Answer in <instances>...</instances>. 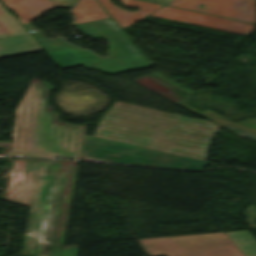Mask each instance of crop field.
<instances>
[{
	"mask_svg": "<svg viewBox=\"0 0 256 256\" xmlns=\"http://www.w3.org/2000/svg\"><path fill=\"white\" fill-rule=\"evenodd\" d=\"M10 159L5 200L31 207L22 254L61 256L67 200L79 162ZM53 165L51 172L49 166ZM65 170V179L57 177Z\"/></svg>",
	"mask_w": 256,
	"mask_h": 256,
	"instance_id": "crop-field-1",
	"label": "crop field"
},
{
	"mask_svg": "<svg viewBox=\"0 0 256 256\" xmlns=\"http://www.w3.org/2000/svg\"><path fill=\"white\" fill-rule=\"evenodd\" d=\"M50 89L30 83L16 112L14 141L7 155L80 159L85 126L59 121L47 106Z\"/></svg>",
	"mask_w": 256,
	"mask_h": 256,
	"instance_id": "crop-field-2",
	"label": "crop field"
},
{
	"mask_svg": "<svg viewBox=\"0 0 256 256\" xmlns=\"http://www.w3.org/2000/svg\"><path fill=\"white\" fill-rule=\"evenodd\" d=\"M76 27L87 36L107 40L108 57L100 58L94 52L66 43L60 37L49 53L61 68L83 64L114 74L151 66L111 19Z\"/></svg>",
	"mask_w": 256,
	"mask_h": 256,
	"instance_id": "crop-field-3",
	"label": "crop field"
},
{
	"mask_svg": "<svg viewBox=\"0 0 256 256\" xmlns=\"http://www.w3.org/2000/svg\"><path fill=\"white\" fill-rule=\"evenodd\" d=\"M81 155L100 160L183 169H200L207 161L85 135Z\"/></svg>",
	"mask_w": 256,
	"mask_h": 256,
	"instance_id": "crop-field-4",
	"label": "crop field"
},
{
	"mask_svg": "<svg viewBox=\"0 0 256 256\" xmlns=\"http://www.w3.org/2000/svg\"><path fill=\"white\" fill-rule=\"evenodd\" d=\"M148 256H243L224 233L137 240Z\"/></svg>",
	"mask_w": 256,
	"mask_h": 256,
	"instance_id": "crop-field-5",
	"label": "crop field"
},
{
	"mask_svg": "<svg viewBox=\"0 0 256 256\" xmlns=\"http://www.w3.org/2000/svg\"><path fill=\"white\" fill-rule=\"evenodd\" d=\"M149 1V0H146ZM162 4L256 24V0H152ZM239 1V2H236ZM243 1H246L243 3ZM203 4V7H198ZM246 7L245 9L242 7ZM196 7L200 8L199 10ZM244 12H247L246 14Z\"/></svg>",
	"mask_w": 256,
	"mask_h": 256,
	"instance_id": "crop-field-6",
	"label": "crop field"
},
{
	"mask_svg": "<svg viewBox=\"0 0 256 256\" xmlns=\"http://www.w3.org/2000/svg\"><path fill=\"white\" fill-rule=\"evenodd\" d=\"M166 9V11H164ZM160 17L180 20L184 22L194 23L198 25L208 26L230 32L247 35L253 32L256 25L244 23L240 21L215 17L211 15L181 10L177 8L164 6L157 11L151 13Z\"/></svg>",
	"mask_w": 256,
	"mask_h": 256,
	"instance_id": "crop-field-7",
	"label": "crop field"
},
{
	"mask_svg": "<svg viewBox=\"0 0 256 256\" xmlns=\"http://www.w3.org/2000/svg\"><path fill=\"white\" fill-rule=\"evenodd\" d=\"M5 5L13 9L19 15V20L28 30L35 29L29 21L38 18L43 12L51 8L66 7L69 8L75 0H2Z\"/></svg>",
	"mask_w": 256,
	"mask_h": 256,
	"instance_id": "crop-field-8",
	"label": "crop field"
},
{
	"mask_svg": "<svg viewBox=\"0 0 256 256\" xmlns=\"http://www.w3.org/2000/svg\"><path fill=\"white\" fill-rule=\"evenodd\" d=\"M102 6L109 12V14L115 19L118 25L122 28L132 24L133 22L141 19L156 9L162 7V5L148 3L139 0H121L125 6L139 7L140 10L136 12H128L114 7L108 0H98Z\"/></svg>",
	"mask_w": 256,
	"mask_h": 256,
	"instance_id": "crop-field-9",
	"label": "crop field"
},
{
	"mask_svg": "<svg viewBox=\"0 0 256 256\" xmlns=\"http://www.w3.org/2000/svg\"><path fill=\"white\" fill-rule=\"evenodd\" d=\"M30 34L0 39V57L40 51Z\"/></svg>",
	"mask_w": 256,
	"mask_h": 256,
	"instance_id": "crop-field-10",
	"label": "crop field"
},
{
	"mask_svg": "<svg viewBox=\"0 0 256 256\" xmlns=\"http://www.w3.org/2000/svg\"><path fill=\"white\" fill-rule=\"evenodd\" d=\"M73 12L76 15L75 24L109 17L96 0H79Z\"/></svg>",
	"mask_w": 256,
	"mask_h": 256,
	"instance_id": "crop-field-11",
	"label": "crop field"
},
{
	"mask_svg": "<svg viewBox=\"0 0 256 256\" xmlns=\"http://www.w3.org/2000/svg\"><path fill=\"white\" fill-rule=\"evenodd\" d=\"M28 33L0 3V38Z\"/></svg>",
	"mask_w": 256,
	"mask_h": 256,
	"instance_id": "crop-field-12",
	"label": "crop field"
},
{
	"mask_svg": "<svg viewBox=\"0 0 256 256\" xmlns=\"http://www.w3.org/2000/svg\"><path fill=\"white\" fill-rule=\"evenodd\" d=\"M244 256H256V240L248 231L225 233Z\"/></svg>",
	"mask_w": 256,
	"mask_h": 256,
	"instance_id": "crop-field-13",
	"label": "crop field"
},
{
	"mask_svg": "<svg viewBox=\"0 0 256 256\" xmlns=\"http://www.w3.org/2000/svg\"><path fill=\"white\" fill-rule=\"evenodd\" d=\"M185 108L209 119L210 121H213L215 124L219 125V126H222V125H225V124H231V125H235V126H238V127H241L243 129H246V130H249L251 132H254L256 133V118H252V119H248V120H244V121H241V122H237V123H234V122H231L230 120H228L227 118L211 111V110H206L202 113L194 110V109H191L187 106H184Z\"/></svg>",
	"mask_w": 256,
	"mask_h": 256,
	"instance_id": "crop-field-14",
	"label": "crop field"
},
{
	"mask_svg": "<svg viewBox=\"0 0 256 256\" xmlns=\"http://www.w3.org/2000/svg\"><path fill=\"white\" fill-rule=\"evenodd\" d=\"M35 39L42 45V47L44 49L47 50V52H49V50L51 49V47L53 46V44L55 43V41L57 40L56 39H50V40H47L43 34L41 32H38V33H33L32 34Z\"/></svg>",
	"mask_w": 256,
	"mask_h": 256,
	"instance_id": "crop-field-15",
	"label": "crop field"
},
{
	"mask_svg": "<svg viewBox=\"0 0 256 256\" xmlns=\"http://www.w3.org/2000/svg\"><path fill=\"white\" fill-rule=\"evenodd\" d=\"M78 246L79 244L65 246L62 256H77Z\"/></svg>",
	"mask_w": 256,
	"mask_h": 256,
	"instance_id": "crop-field-16",
	"label": "crop field"
},
{
	"mask_svg": "<svg viewBox=\"0 0 256 256\" xmlns=\"http://www.w3.org/2000/svg\"><path fill=\"white\" fill-rule=\"evenodd\" d=\"M224 127L228 128V129H230V130H232V131H234V132H236V133H238L242 136H245V137L256 140V134H253V133H250V132H247V131H244V130H241V129H238V128H235V127H232V126H229V125H226Z\"/></svg>",
	"mask_w": 256,
	"mask_h": 256,
	"instance_id": "crop-field-17",
	"label": "crop field"
}]
</instances>
